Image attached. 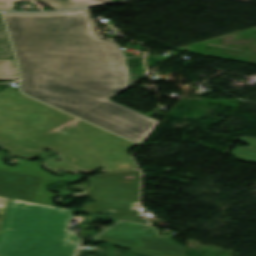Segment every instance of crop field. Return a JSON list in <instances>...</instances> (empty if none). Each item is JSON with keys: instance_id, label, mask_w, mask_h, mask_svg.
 <instances>
[{"instance_id": "obj_6", "label": "crop field", "mask_w": 256, "mask_h": 256, "mask_svg": "<svg viewBox=\"0 0 256 256\" xmlns=\"http://www.w3.org/2000/svg\"><path fill=\"white\" fill-rule=\"evenodd\" d=\"M0 143L2 144V146L7 147L10 149V155H15V156H25V157H31L36 153L42 152L45 149H54L57 150L59 152V154L62 156L64 162H57L54 160H49L46 162V167L54 170L55 172H57L59 169H63L64 171L66 170H73L79 173H83V172H92L97 168H94L92 170L86 171L84 169L78 168L76 167V162L75 159L66 151L59 149V148H43V149H34V150H29L25 147H22L20 145H17L15 143H12L2 137H0ZM106 171L105 168L103 167L102 170H100V172Z\"/></svg>"}, {"instance_id": "obj_10", "label": "crop field", "mask_w": 256, "mask_h": 256, "mask_svg": "<svg viewBox=\"0 0 256 256\" xmlns=\"http://www.w3.org/2000/svg\"><path fill=\"white\" fill-rule=\"evenodd\" d=\"M110 245H103L99 250H77L76 256H109ZM93 252L95 255H89Z\"/></svg>"}, {"instance_id": "obj_5", "label": "crop field", "mask_w": 256, "mask_h": 256, "mask_svg": "<svg viewBox=\"0 0 256 256\" xmlns=\"http://www.w3.org/2000/svg\"><path fill=\"white\" fill-rule=\"evenodd\" d=\"M42 178L0 170V195L33 201Z\"/></svg>"}, {"instance_id": "obj_12", "label": "crop field", "mask_w": 256, "mask_h": 256, "mask_svg": "<svg viewBox=\"0 0 256 256\" xmlns=\"http://www.w3.org/2000/svg\"><path fill=\"white\" fill-rule=\"evenodd\" d=\"M26 0H0V10L14 11V2Z\"/></svg>"}, {"instance_id": "obj_11", "label": "crop field", "mask_w": 256, "mask_h": 256, "mask_svg": "<svg viewBox=\"0 0 256 256\" xmlns=\"http://www.w3.org/2000/svg\"><path fill=\"white\" fill-rule=\"evenodd\" d=\"M113 256H149V255L141 254V253L130 251V250L115 248L113 249Z\"/></svg>"}, {"instance_id": "obj_2", "label": "crop field", "mask_w": 256, "mask_h": 256, "mask_svg": "<svg viewBox=\"0 0 256 256\" xmlns=\"http://www.w3.org/2000/svg\"><path fill=\"white\" fill-rule=\"evenodd\" d=\"M74 212L11 199L0 229V256H73L79 239L66 226Z\"/></svg>"}, {"instance_id": "obj_8", "label": "crop field", "mask_w": 256, "mask_h": 256, "mask_svg": "<svg viewBox=\"0 0 256 256\" xmlns=\"http://www.w3.org/2000/svg\"><path fill=\"white\" fill-rule=\"evenodd\" d=\"M0 79H18L14 60H0Z\"/></svg>"}, {"instance_id": "obj_3", "label": "crop field", "mask_w": 256, "mask_h": 256, "mask_svg": "<svg viewBox=\"0 0 256 256\" xmlns=\"http://www.w3.org/2000/svg\"><path fill=\"white\" fill-rule=\"evenodd\" d=\"M156 231L149 226L121 221L97 237H104L170 254L186 256L185 247L179 245L170 236L158 237Z\"/></svg>"}, {"instance_id": "obj_4", "label": "crop field", "mask_w": 256, "mask_h": 256, "mask_svg": "<svg viewBox=\"0 0 256 256\" xmlns=\"http://www.w3.org/2000/svg\"><path fill=\"white\" fill-rule=\"evenodd\" d=\"M3 152H4L3 150L0 151V169L43 177L42 184L37 191L34 202H40V203L53 205L51 198L54 196H57V195L48 192L45 189L46 186L49 184L55 183V182H59V181H73V180H76L79 178V176L71 175V174H68V175L64 176L63 178L53 177L50 174L43 171L39 166V161L48 156H51L53 154H44V155L38 157V158H40L38 161H26V160L21 159L20 163L15 168H12V167L6 166L5 164L1 163V155L3 154ZM57 192L60 193L58 195L69 193L68 191H65V190H57Z\"/></svg>"}, {"instance_id": "obj_9", "label": "crop field", "mask_w": 256, "mask_h": 256, "mask_svg": "<svg viewBox=\"0 0 256 256\" xmlns=\"http://www.w3.org/2000/svg\"><path fill=\"white\" fill-rule=\"evenodd\" d=\"M0 58H14L0 13Z\"/></svg>"}, {"instance_id": "obj_7", "label": "crop field", "mask_w": 256, "mask_h": 256, "mask_svg": "<svg viewBox=\"0 0 256 256\" xmlns=\"http://www.w3.org/2000/svg\"><path fill=\"white\" fill-rule=\"evenodd\" d=\"M56 10L115 2L114 0H41Z\"/></svg>"}, {"instance_id": "obj_1", "label": "crop field", "mask_w": 256, "mask_h": 256, "mask_svg": "<svg viewBox=\"0 0 256 256\" xmlns=\"http://www.w3.org/2000/svg\"><path fill=\"white\" fill-rule=\"evenodd\" d=\"M27 95L142 144L160 122L109 100L128 88L125 57L85 9L4 13Z\"/></svg>"}, {"instance_id": "obj_13", "label": "crop field", "mask_w": 256, "mask_h": 256, "mask_svg": "<svg viewBox=\"0 0 256 256\" xmlns=\"http://www.w3.org/2000/svg\"><path fill=\"white\" fill-rule=\"evenodd\" d=\"M9 198L1 197L0 196V226L7 208V205L9 203Z\"/></svg>"}]
</instances>
